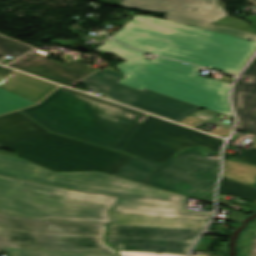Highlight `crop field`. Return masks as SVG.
<instances>
[{
  "label": "crop field",
  "instance_id": "8a807250",
  "mask_svg": "<svg viewBox=\"0 0 256 256\" xmlns=\"http://www.w3.org/2000/svg\"><path fill=\"white\" fill-rule=\"evenodd\" d=\"M53 133L163 164L188 146L218 153L222 140L148 115H139L56 90L40 105L21 110Z\"/></svg>",
  "mask_w": 256,
  "mask_h": 256
},
{
  "label": "crop field",
  "instance_id": "ac0d7876",
  "mask_svg": "<svg viewBox=\"0 0 256 256\" xmlns=\"http://www.w3.org/2000/svg\"><path fill=\"white\" fill-rule=\"evenodd\" d=\"M0 145L55 172L98 171L142 183L161 167L52 134L18 111L0 116Z\"/></svg>",
  "mask_w": 256,
  "mask_h": 256
},
{
  "label": "crop field",
  "instance_id": "34b2d1b8",
  "mask_svg": "<svg viewBox=\"0 0 256 256\" xmlns=\"http://www.w3.org/2000/svg\"><path fill=\"white\" fill-rule=\"evenodd\" d=\"M112 38L146 52L230 75H235L256 49L255 41L140 15H135Z\"/></svg>",
  "mask_w": 256,
  "mask_h": 256
},
{
  "label": "crop field",
  "instance_id": "412701ff",
  "mask_svg": "<svg viewBox=\"0 0 256 256\" xmlns=\"http://www.w3.org/2000/svg\"><path fill=\"white\" fill-rule=\"evenodd\" d=\"M0 175L119 196L110 212L209 220L213 213L183 211L187 197L98 172L54 173L20 158L0 155Z\"/></svg>",
  "mask_w": 256,
  "mask_h": 256
},
{
  "label": "crop field",
  "instance_id": "f4fd0767",
  "mask_svg": "<svg viewBox=\"0 0 256 256\" xmlns=\"http://www.w3.org/2000/svg\"><path fill=\"white\" fill-rule=\"evenodd\" d=\"M99 50L112 53L129 63L117 65L125 75L117 83L167 96L233 117L228 102L231 83L199 76L198 67L156 57L146 60L144 53L108 40Z\"/></svg>",
  "mask_w": 256,
  "mask_h": 256
},
{
  "label": "crop field",
  "instance_id": "dd49c442",
  "mask_svg": "<svg viewBox=\"0 0 256 256\" xmlns=\"http://www.w3.org/2000/svg\"><path fill=\"white\" fill-rule=\"evenodd\" d=\"M116 199L0 176V212L40 221L110 223Z\"/></svg>",
  "mask_w": 256,
  "mask_h": 256
},
{
  "label": "crop field",
  "instance_id": "e52e79f7",
  "mask_svg": "<svg viewBox=\"0 0 256 256\" xmlns=\"http://www.w3.org/2000/svg\"><path fill=\"white\" fill-rule=\"evenodd\" d=\"M206 148H189L162 166L143 184L213 204L218 160L206 159Z\"/></svg>",
  "mask_w": 256,
  "mask_h": 256
},
{
  "label": "crop field",
  "instance_id": "d8731c3e",
  "mask_svg": "<svg viewBox=\"0 0 256 256\" xmlns=\"http://www.w3.org/2000/svg\"><path fill=\"white\" fill-rule=\"evenodd\" d=\"M119 5L167 13L169 20L256 41V29L242 20L227 16L217 0H124Z\"/></svg>",
  "mask_w": 256,
  "mask_h": 256
},
{
  "label": "crop field",
  "instance_id": "5a996713",
  "mask_svg": "<svg viewBox=\"0 0 256 256\" xmlns=\"http://www.w3.org/2000/svg\"><path fill=\"white\" fill-rule=\"evenodd\" d=\"M122 75L108 69L98 71L82 82L93 81L111 88L103 93L108 100L116 101L177 122L200 107L144 89L143 91L115 83Z\"/></svg>",
  "mask_w": 256,
  "mask_h": 256
},
{
  "label": "crop field",
  "instance_id": "3316defc",
  "mask_svg": "<svg viewBox=\"0 0 256 256\" xmlns=\"http://www.w3.org/2000/svg\"><path fill=\"white\" fill-rule=\"evenodd\" d=\"M0 248L116 254L103 237L54 235L0 228Z\"/></svg>",
  "mask_w": 256,
  "mask_h": 256
},
{
  "label": "crop field",
  "instance_id": "28ad6ade",
  "mask_svg": "<svg viewBox=\"0 0 256 256\" xmlns=\"http://www.w3.org/2000/svg\"><path fill=\"white\" fill-rule=\"evenodd\" d=\"M9 66L41 76L43 78L70 86L91 73L82 62L73 61L62 67L32 52L13 62Z\"/></svg>",
  "mask_w": 256,
  "mask_h": 256
},
{
  "label": "crop field",
  "instance_id": "d1516ede",
  "mask_svg": "<svg viewBox=\"0 0 256 256\" xmlns=\"http://www.w3.org/2000/svg\"><path fill=\"white\" fill-rule=\"evenodd\" d=\"M0 226L39 232L104 235L105 224L46 220L44 222L0 213Z\"/></svg>",
  "mask_w": 256,
  "mask_h": 256
},
{
  "label": "crop field",
  "instance_id": "22f410ed",
  "mask_svg": "<svg viewBox=\"0 0 256 256\" xmlns=\"http://www.w3.org/2000/svg\"><path fill=\"white\" fill-rule=\"evenodd\" d=\"M240 77L251 78L248 83L235 82L233 101L239 122L238 129L256 134V58ZM240 120H245L240 123Z\"/></svg>",
  "mask_w": 256,
  "mask_h": 256
},
{
  "label": "crop field",
  "instance_id": "cbeb9de0",
  "mask_svg": "<svg viewBox=\"0 0 256 256\" xmlns=\"http://www.w3.org/2000/svg\"><path fill=\"white\" fill-rule=\"evenodd\" d=\"M11 71L13 70L0 66V79ZM0 87L38 103L44 96L57 87V85L15 72L0 82Z\"/></svg>",
  "mask_w": 256,
  "mask_h": 256
},
{
  "label": "crop field",
  "instance_id": "5142ce71",
  "mask_svg": "<svg viewBox=\"0 0 256 256\" xmlns=\"http://www.w3.org/2000/svg\"><path fill=\"white\" fill-rule=\"evenodd\" d=\"M201 230L111 224L110 236L194 241Z\"/></svg>",
  "mask_w": 256,
  "mask_h": 256
},
{
  "label": "crop field",
  "instance_id": "d9b57169",
  "mask_svg": "<svg viewBox=\"0 0 256 256\" xmlns=\"http://www.w3.org/2000/svg\"><path fill=\"white\" fill-rule=\"evenodd\" d=\"M108 241L115 246L117 250L127 251H146L187 254L192 243L180 241L148 240L110 237Z\"/></svg>",
  "mask_w": 256,
  "mask_h": 256
},
{
  "label": "crop field",
  "instance_id": "733c2abd",
  "mask_svg": "<svg viewBox=\"0 0 256 256\" xmlns=\"http://www.w3.org/2000/svg\"><path fill=\"white\" fill-rule=\"evenodd\" d=\"M111 223L203 229L208 221L109 213Z\"/></svg>",
  "mask_w": 256,
  "mask_h": 256
},
{
  "label": "crop field",
  "instance_id": "4a817a6b",
  "mask_svg": "<svg viewBox=\"0 0 256 256\" xmlns=\"http://www.w3.org/2000/svg\"><path fill=\"white\" fill-rule=\"evenodd\" d=\"M224 177L232 178L244 184L254 185L256 184V168L237 164L231 160H226Z\"/></svg>",
  "mask_w": 256,
  "mask_h": 256
},
{
  "label": "crop field",
  "instance_id": "bc2a9ffb",
  "mask_svg": "<svg viewBox=\"0 0 256 256\" xmlns=\"http://www.w3.org/2000/svg\"><path fill=\"white\" fill-rule=\"evenodd\" d=\"M218 191L228 193L249 201H256V188L244 185L229 178H223L221 180Z\"/></svg>",
  "mask_w": 256,
  "mask_h": 256
},
{
  "label": "crop field",
  "instance_id": "214f88e0",
  "mask_svg": "<svg viewBox=\"0 0 256 256\" xmlns=\"http://www.w3.org/2000/svg\"><path fill=\"white\" fill-rule=\"evenodd\" d=\"M23 98L0 88V115L36 104Z\"/></svg>",
  "mask_w": 256,
  "mask_h": 256
},
{
  "label": "crop field",
  "instance_id": "92a150f3",
  "mask_svg": "<svg viewBox=\"0 0 256 256\" xmlns=\"http://www.w3.org/2000/svg\"><path fill=\"white\" fill-rule=\"evenodd\" d=\"M33 48L34 47L0 35V55L5 53L17 58Z\"/></svg>",
  "mask_w": 256,
  "mask_h": 256
},
{
  "label": "crop field",
  "instance_id": "dafd665d",
  "mask_svg": "<svg viewBox=\"0 0 256 256\" xmlns=\"http://www.w3.org/2000/svg\"><path fill=\"white\" fill-rule=\"evenodd\" d=\"M7 253H12V256H118L90 253H73V252H54V251H36V250H15L1 249Z\"/></svg>",
  "mask_w": 256,
  "mask_h": 256
},
{
  "label": "crop field",
  "instance_id": "00972430",
  "mask_svg": "<svg viewBox=\"0 0 256 256\" xmlns=\"http://www.w3.org/2000/svg\"><path fill=\"white\" fill-rule=\"evenodd\" d=\"M241 256H256V226H250L240 239Z\"/></svg>",
  "mask_w": 256,
  "mask_h": 256
},
{
  "label": "crop field",
  "instance_id": "a9b5d70f",
  "mask_svg": "<svg viewBox=\"0 0 256 256\" xmlns=\"http://www.w3.org/2000/svg\"><path fill=\"white\" fill-rule=\"evenodd\" d=\"M181 123H184V124H187L189 126H192V127H199L200 125H202L203 123H206V122H201L199 120H197L196 118L192 117V116H189L187 117L186 119H184ZM216 126V125H215ZM229 132L230 130L229 129H226V128H223V127H220V126H217L215 129H213L211 132V134H216L218 136H224V137H227L229 135Z\"/></svg>",
  "mask_w": 256,
  "mask_h": 256
},
{
  "label": "crop field",
  "instance_id": "4177f3b9",
  "mask_svg": "<svg viewBox=\"0 0 256 256\" xmlns=\"http://www.w3.org/2000/svg\"><path fill=\"white\" fill-rule=\"evenodd\" d=\"M192 116L202 119L204 121L216 124V125H220V126L229 128V129L232 128L231 126H229L225 123L213 120L215 117L213 115L208 114V110H198L194 114H192Z\"/></svg>",
  "mask_w": 256,
  "mask_h": 256
},
{
  "label": "crop field",
  "instance_id": "730fd06b",
  "mask_svg": "<svg viewBox=\"0 0 256 256\" xmlns=\"http://www.w3.org/2000/svg\"><path fill=\"white\" fill-rule=\"evenodd\" d=\"M234 159L253 163L256 165V149L252 148L250 150H243L240 154H238Z\"/></svg>",
  "mask_w": 256,
  "mask_h": 256
},
{
  "label": "crop field",
  "instance_id": "eef30255",
  "mask_svg": "<svg viewBox=\"0 0 256 256\" xmlns=\"http://www.w3.org/2000/svg\"><path fill=\"white\" fill-rule=\"evenodd\" d=\"M59 89H61L63 91H67V92H71V93L77 94V95L85 97L87 99L96 100V101H99V102H102V103H105V104H108V105H112V106H115V107H118V108H121V109H125V110L131 111V112H135V113H138V114H141V115L145 116V113H142V112H139V111L127 108V107H123V106H120V105H117V104H114V103H110V102H107V101L99 100V99L94 98V97L89 96V95L81 94V93H78V92H75V91L63 88V87H59Z\"/></svg>",
  "mask_w": 256,
  "mask_h": 256
},
{
  "label": "crop field",
  "instance_id": "ae1a2a85",
  "mask_svg": "<svg viewBox=\"0 0 256 256\" xmlns=\"http://www.w3.org/2000/svg\"><path fill=\"white\" fill-rule=\"evenodd\" d=\"M121 256H187V255H174V254H157V253H145V252H127L119 251Z\"/></svg>",
  "mask_w": 256,
  "mask_h": 256
},
{
  "label": "crop field",
  "instance_id": "d3111659",
  "mask_svg": "<svg viewBox=\"0 0 256 256\" xmlns=\"http://www.w3.org/2000/svg\"><path fill=\"white\" fill-rule=\"evenodd\" d=\"M84 84L90 86L91 88H94V89L98 90L101 93L109 89V88H106L104 86L98 85V84L93 83V82H87V83H84Z\"/></svg>",
  "mask_w": 256,
  "mask_h": 256
},
{
  "label": "crop field",
  "instance_id": "750c4746",
  "mask_svg": "<svg viewBox=\"0 0 256 256\" xmlns=\"http://www.w3.org/2000/svg\"><path fill=\"white\" fill-rule=\"evenodd\" d=\"M52 42L59 43V44H70V43H74V40H56V39H54Z\"/></svg>",
  "mask_w": 256,
  "mask_h": 256
},
{
  "label": "crop field",
  "instance_id": "bd1437ed",
  "mask_svg": "<svg viewBox=\"0 0 256 256\" xmlns=\"http://www.w3.org/2000/svg\"><path fill=\"white\" fill-rule=\"evenodd\" d=\"M0 154H4V155H9V156L17 157V155H16V154H14V153H9V152H3V151H0Z\"/></svg>",
  "mask_w": 256,
  "mask_h": 256
},
{
  "label": "crop field",
  "instance_id": "1d83c4d3",
  "mask_svg": "<svg viewBox=\"0 0 256 256\" xmlns=\"http://www.w3.org/2000/svg\"><path fill=\"white\" fill-rule=\"evenodd\" d=\"M250 23H252L253 25H255V26H256V19H255V20L250 21Z\"/></svg>",
  "mask_w": 256,
  "mask_h": 256
},
{
  "label": "crop field",
  "instance_id": "120bbe31",
  "mask_svg": "<svg viewBox=\"0 0 256 256\" xmlns=\"http://www.w3.org/2000/svg\"><path fill=\"white\" fill-rule=\"evenodd\" d=\"M249 1L252 2L256 6V0H249Z\"/></svg>",
  "mask_w": 256,
  "mask_h": 256
},
{
  "label": "crop field",
  "instance_id": "d32e631a",
  "mask_svg": "<svg viewBox=\"0 0 256 256\" xmlns=\"http://www.w3.org/2000/svg\"><path fill=\"white\" fill-rule=\"evenodd\" d=\"M252 147H256V143H255V145H254V146H252Z\"/></svg>",
  "mask_w": 256,
  "mask_h": 256
},
{
  "label": "crop field",
  "instance_id": "5866460e",
  "mask_svg": "<svg viewBox=\"0 0 256 256\" xmlns=\"http://www.w3.org/2000/svg\"><path fill=\"white\" fill-rule=\"evenodd\" d=\"M254 187H256V185Z\"/></svg>",
  "mask_w": 256,
  "mask_h": 256
},
{
  "label": "crop field",
  "instance_id": "028f5c9d",
  "mask_svg": "<svg viewBox=\"0 0 256 256\" xmlns=\"http://www.w3.org/2000/svg\"><path fill=\"white\" fill-rule=\"evenodd\" d=\"M0 148H1V146H0Z\"/></svg>",
  "mask_w": 256,
  "mask_h": 256
}]
</instances>
